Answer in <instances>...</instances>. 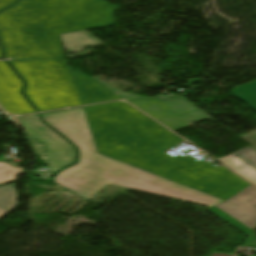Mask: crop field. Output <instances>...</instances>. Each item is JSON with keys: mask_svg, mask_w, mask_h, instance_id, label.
Here are the masks:
<instances>
[{"mask_svg": "<svg viewBox=\"0 0 256 256\" xmlns=\"http://www.w3.org/2000/svg\"><path fill=\"white\" fill-rule=\"evenodd\" d=\"M42 116L79 151L78 163L58 172L53 182L88 201L112 184L208 207L224 202L98 153L83 107L42 113Z\"/></svg>", "mask_w": 256, "mask_h": 256, "instance_id": "crop-field-1", "label": "crop field"}, {"mask_svg": "<svg viewBox=\"0 0 256 256\" xmlns=\"http://www.w3.org/2000/svg\"><path fill=\"white\" fill-rule=\"evenodd\" d=\"M126 101L134 104L173 131L191 123L211 119L179 95L171 96L168 99L133 98Z\"/></svg>", "mask_w": 256, "mask_h": 256, "instance_id": "crop-field-2", "label": "crop field"}, {"mask_svg": "<svg viewBox=\"0 0 256 256\" xmlns=\"http://www.w3.org/2000/svg\"><path fill=\"white\" fill-rule=\"evenodd\" d=\"M26 134L45 144L49 169L56 171L75 160V150L63 138L45 126L37 114L19 116Z\"/></svg>", "mask_w": 256, "mask_h": 256, "instance_id": "crop-field-3", "label": "crop field"}, {"mask_svg": "<svg viewBox=\"0 0 256 256\" xmlns=\"http://www.w3.org/2000/svg\"><path fill=\"white\" fill-rule=\"evenodd\" d=\"M208 210L250 235L256 226V189L250 185Z\"/></svg>", "mask_w": 256, "mask_h": 256, "instance_id": "crop-field-4", "label": "crop field"}, {"mask_svg": "<svg viewBox=\"0 0 256 256\" xmlns=\"http://www.w3.org/2000/svg\"><path fill=\"white\" fill-rule=\"evenodd\" d=\"M218 160L256 185V151L254 149L246 147Z\"/></svg>", "mask_w": 256, "mask_h": 256, "instance_id": "crop-field-5", "label": "crop field"}, {"mask_svg": "<svg viewBox=\"0 0 256 256\" xmlns=\"http://www.w3.org/2000/svg\"><path fill=\"white\" fill-rule=\"evenodd\" d=\"M66 53L85 50L86 47L102 44L86 31L60 35Z\"/></svg>", "mask_w": 256, "mask_h": 256, "instance_id": "crop-field-6", "label": "crop field"}, {"mask_svg": "<svg viewBox=\"0 0 256 256\" xmlns=\"http://www.w3.org/2000/svg\"><path fill=\"white\" fill-rule=\"evenodd\" d=\"M16 197V188L13 183L0 186V217L16 206Z\"/></svg>", "mask_w": 256, "mask_h": 256, "instance_id": "crop-field-7", "label": "crop field"}, {"mask_svg": "<svg viewBox=\"0 0 256 256\" xmlns=\"http://www.w3.org/2000/svg\"><path fill=\"white\" fill-rule=\"evenodd\" d=\"M23 172L22 168H15L5 162L0 163V183L16 179V173Z\"/></svg>", "mask_w": 256, "mask_h": 256, "instance_id": "crop-field-8", "label": "crop field"}, {"mask_svg": "<svg viewBox=\"0 0 256 256\" xmlns=\"http://www.w3.org/2000/svg\"><path fill=\"white\" fill-rule=\"evenodd\" d=\"M93 79L96 80V81H98V82L101 83L102 85L106 86L107 88H109L110 90H112L113 92H115L116 94L120 95V96L123 97V98L133 97V96H134V95H129V94H127V93H124V92H122V91H120V90H118V89H116V88H113V87H111V86H109V85H107V84H105V83L99 81V80H98L97 78H95V77H93Z\"/></svg>", "mask_w": 256, "mask_h": 256, "instance_id": "crop-field-9", "label": "crop field"}, {"mask_svg": "<svg viewBox=\"0 0 256 256\" xmlns=\"http://www.w3.org/2000/svg\"><path fill=\"white\" fill-rule=\"evenodd\" d=\"M243 247H255L256 248V240L248 238Z\"/></svg>", "mask_w": 256, "mask_h": 256, "instance_id": "crop-field-10", "label": "crop field"}, {"mask_svg": "<svg viewBox=\"0 0 256 256\" xmlns=\"http://www.w3.org/2000/svg\"><path fill=\"white\" fill-rule=\"evenodd\" d=\"M238 251H239V249H237V251L234 253L233 256H235ZM211 256H230V255H224V254L213 253Z\"/></svg>", "mask_w": 256, "mask_h": 256, "instance_id": "crop-field-11", "label": "crop field"}, {"mask_svg": "<svg viewBox=\"0 0 256 256\" xmlns=\"http://www.w3.org/2000/svg\"><path fill=\"white\" fill-rule=\"evenodd\" d=\"M13 120H14L18 125H20V122H19V120H18L17 117L13 118Z\"/></svg>", "mask_w": 256, "mask_h": 256, "instance_id": "crop-field-12", "label": "crop field"}]
</instances>
